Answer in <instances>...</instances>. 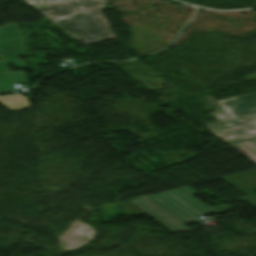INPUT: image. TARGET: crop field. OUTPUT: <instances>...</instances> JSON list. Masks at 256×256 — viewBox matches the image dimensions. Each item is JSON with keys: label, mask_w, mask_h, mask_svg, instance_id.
Returning <instances> with one entry per match:
<instances>
[{"label": "crop field", "mask_w": 256, "mask_h": 256, "mask_svg": "<svg viewBox=\"0 0 256 256\" xmlns=\"http://www.w3.org/2000/svg\"><path fill=\"white\" fill-rule=\"evenodd\" d=\"M38 12L73 35L81 42L96 43L106 41L114 36L99 10L100 0H26Z\"/></svg>", "instance_id": "1"}, {"label": "crop field", "mask_w": 256, "mask_h": 256, "mask_svg": "<svg viewBox=\"0 0 256 256\" xmlns=\"http://www.w3.org/2000/svg\"><path fill=\"white\" fill-rule=\"evenodd\" d=\"M194 194H197V192L185 186L149 195L147 199L184 224L198 221L202 215L214 213L216 211L221 213L232 210L225 204L210 208L193 198L192 195Z\"/></svg>", "instance_id": "2"}, {"label": "crop field", "mask_w": 256, "mask_h": 256, "mask_svg": "<svg viewBox=\"0 0 256 256\" xmlns=\"http://www.w3.org/2000/svg\"><path fill=\"white\" fill-rule=\"evenodd\" d=\"M206 99L217 111L211 116L218 122L207 130L239 153L250 155L255 159L252 162L256 164V114L247 116L246 120L240 121L243 127L231 130L228 128L231 117L224 112L212 96H208Z\"/></svg>", "instance_id": "3"}, {"label": "crop field", "mask_w": 256, "mask_h": 256, "mask_svg": "<svg viewBox=\"0 0 256 256\" xmlns=\"http://www.w3.org/2000/svg\"><path fill=\"white\" fill-rule=\"evenodd\" d=\"M21 33L17 25L6 24L0 27V92L8 93L14 88L15 82L26 81L23 72H9V63L26 69L22 55Z\"/></svg>", "instance_id": "4"}, {"label": "crop field", "mask_w": 256, "mask_h": 256, "mask_svg": "<svg viewBox=\"0 0 256 256\" xmlns=\"http://www.w3.org/2000/svg\"><path fill=\"white\" fill-rule=\"evenodd\" d=\"M120 204L127 216L147 214L173 232L193 231L147 199L136 202L126 201Z\"/></svg>", "instance_id": "5"}, {"label": "crop field", "mask_w": 256, "mask_h": 256, "mask_svg": "<svg viewBox=\"0 0 256 256\" xmlns=\"http://www.w3.org/2000/svg\"><path fill=\"white\" fill-rule=\"evenodd\" d=\"M222 179L249 197L240 199V201L247 202L256 209V193H254L256 191V170L222 177Z\"/></svg>", "instance_id": "6"}, {"label": "crop field", "mask_w": 256, "mask_h": 256, "mask_svg": "<svg viewBox=\"0 0 256 256\" xmlns=\"http://www.w3.org/2000/svg\"><path fill=\"white\" fill-rule=\"evenodd\" d=\"M233 119L256 113V93L218 102Z\"/></svg>", "instance_id": "7"}, {"label": "crop field", "mask_w": 256, "mask_h": 256, "mask_svg": "<svg viewBox=\"0 0 256 256\" xmlns=\"http://www.w3.org/2000/svg\"><path fill=\"white\" fill-rule=\"evenodd\" d=\"M144 198H146V197L139 198V199H135V200H142V199H144ZM135 200H131V201H135Z\"/></svg>", "instance_id": "8"}]
</instances>
